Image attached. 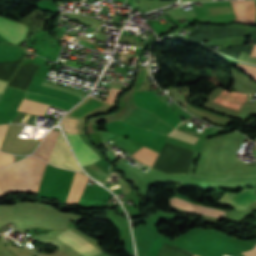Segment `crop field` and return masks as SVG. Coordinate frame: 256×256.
<instances>
[{"mask_svg": "<svg viewBox=\"0 0 256 256\" xmlns=\"http://www.w3.org/2000/svg\"><path fill=\"white\" fill-rule=\"evenodd\" d=\"M46 165L31 156L0 170V196L9 192H38Z\"/></svg>", "mask_w": 256, "mask_h": 256, "instance_id": "obj_1", "label": "crop field"}, {"mask_svg": "<svg viewBox=\"0 0 256 256\" xmlns=\"http://www.w3.org/2000/svg\"><path fill=\"white\" fill-rule=\"evenodd\" d=\"M193 152L166 143L153 168L164 173H187Z\"/></svg>", "mask_w": 256, "mask_h": 256, "instance_id": "obj_2", "label": "crop field"}, {"mask_svg": "<svg viewBox=\"0 0 256 256\" xmlns=\"http://www.w3.org/2000/svg\"><path fill=\"white\" fill-rule=\"evenodd\" d=\"M49 162L59 167L82 172L81 169L78 167L62 132H60L58 136L56 144L50 155Z\"/></svg>", "mask_w": 256, "mask_h": 256, "instance_id": "obj_3", "label": "crop field"}, {"mask_svg": "<svg viewBox=\"0 0 256 256\" xmlns=\"http://www.w3.org/2000/svg\"><path fill=\"white\" fill-rule=\"evenodd\" d=\"M84 256H93L100 251L70 228L56 236Z\"/></svg>", "mask_w": 256, "mask_h": 256, "instance_id": "obj_4", "label": "crop field"}, {"mask_svg": "<svg viewBox=\"0 0 256 256\" xmlns=\"http://www.w3.org/2000/svg\"><path fill=\"white\" fill-rule=\"evenodd\" d=\"M73 151L79 160L81 166L92 164L97 160L101 159L87 144H85L79 134L75 133H66Z\"/></svg>", "mask_w": 256, "mask_h": 256, "instance_id": "obj_5", "label": "crop field"}, {"mask_svg": "<svg viewBox=\"0 0 256 256\" xmlns=\"http://www.w3.org/2000/svg\"><path fill=\"white\" fill-rule=\"evenodd\" d=\"M236 19L234 22L254 25L256 15V5L252 0H235L231 1Z\"/></svg>", "mask_w": 256, "mask_h": 256, "instance_id": "obj_6", "label": "crop field"}, {"mask_svg": "<svg viewBox=\"0 0 256 256\" xmlns=\"http://www.w3.org/2000/svg\"><path fill=\"white\" fill-rule=\"evenodd\" d=\"M256 200V191L243 190L242 193L233 195L225 193L216 203L229 205L238 210H245Z\"/></svg>", "mask_w": 256, "mask_h": 256, "instance_id": "obj_7", "label": "crop field"}, {"mask_svg": "<svg viewBox=\"0 0 256 256\" xmlns=\"http://www.w3.org/2000/svg\"><path fill=\"white\" fill-rule=\"evenodd\" d=\"M28 28L24 25L0 18V35L17 44L23 40Z\"/></svg>", "mask_w": 256, "mask_h": 256, "instance_id": "obj_8", "label": "crop field"}, {"mask_svg": "<svg viewBox=\"0 0 256 256\" xmlns=\"http://www.w3.org/2000/svg\"><path fill=\"white\" fill-rule=\"evenodd\" d=\"M88 177L83 174L76 173L71 189L68 194V199L66 203L77 204L81 193L83 192Z\"/></svg>", "mask_w": 256, "mask_h": 256, "instance_id": "obj_9", "label": "crop field"}, {"mask_svg": "<svg viewBox=\"0 0 256 256\" xmlns=\"http://www.w3.org/2000/svg\"><path fill=\"white\" fill-rule=\"evenodd\" d=\"M247 95L245 94H236L223 91L214 102L224 104L230 108L238 110L240 106L245 102Z\"/></svg>", "mask_w": 256, "mask_h": 256, "instance_id": "obj_10", "label": "crop field"}, {"mask_svg": "<svg viewBox=\"0 0 256 256\" xmlns=\"http://www.w3.org/2000/svg\"><path fill=\"white\" fill-rule=\"evenodd\" d=\"M59 131L51 130L50 133L46 136L40 146L36 149L33 155L42 158L43 160L48 162L49 155L55 143Z\"/></svg>", "mask_w": 256, "mask_h": 256, "instance_id": "obj_11", "label": "crop field"}, {"mask_svg": "<svg viewBox=\"0 0 256 256\" xmlns=\"http://www.w3.org/2000/svg\"><path fill=\"white\" fill-rule=\"evenodd\" d=\"M25 98L37 100V101H41V102H44L49 105L57 106L66 111H68L74 105V104H71V103L63 101V100H59V99H56L53 97H49L46 95H42V94L30 92V91H26Z\"/></svg>", "mask_w": 256, "mask_h": 256, "instance_id": "obj_12", "label": "crop field"}, {"mask_svg": "<svg viewBox=\"0 0 256 256\" xmlns=\"http://www.w3.org/2000/svg\"><path fill=\"white\" fill-rule=\"evenodd\" d=\"M251 37H254L253 41L251 42V45H241V46H236V47H233V48L227 49V50H216V51L226 54V55L238 60L241 52H243L247 55H250L253 44H256V35L251 36Z\"/></svg>", "mask_w": 256, "mask_h": 256, "instance_id": "obj_13", "label": "crop field"}, {"mask_svg": "<svg viewBox=\"0 0 256 256\" xmlns=\"http://www.w3.org/2000/svg\"><path fill=\"white\" fill-rule=\"evenodd\" d=\"M132 156L137 158L139 161L152 166V164L157 156V153L143 147L140 150H138L136 153H134Z\"/></svg>", "mask_w": 256, "mask_h": 256, "instance_id": "obj_14", "label": "crop field"}, {"mask_svg": "<svg viewBox=\"0 0 256 256\" xmlns=\"http://www.w3.org/2000/svg\"><path fill=\"white\" fill-rule=\"evenodd\" d=\"M47 108L48 105L29 101L22 111L44 116Z\"/></svg>", "mask_w": 256, "mask_h": 256, "instance_id": "obj_15", "label": "crop field"}, {"mask_svg": "<svg viewBox=\"0 0 256 256\" xmlns=\"http://www.w3.org/2000/svg\"><path fill=\"white\" fill-rule=\"evenodd\" d=\"M77 123H78V121L68 119V118H64L63 121H62V125L64 127L65 132H76V133H78Z\"/></svg>", "mask_w": 256, "mask_h": 256, "instance_id": "obj_16", "label": "crop field"}, {"mask_svg": "<svg viewBox=\"0 0 256 256\" xmlns=\"http://www.w3.org/2000/svg\"><path fill=\"white\" fill-rule=\"evenodd\" d=\"M170 136H173L175 138L187 141V142L192 143V144H194V142L197 140V137H194V136H191V135H188V134L176 131V130H174L170 134Z\"/></svg>", "mask_w": 256, "mask_h": 256, "instance_id": "obj_17", "label": "crop field"}, {"mask_svg": "<svg viewBox=\"0 0 256 256\" xmlns=\"http://www.w3.org/2000/svg\"><path fill=\"white\" fill-rule=\"evenodd\" d=\"M122 92H123V90L111 88L107 98L105 99V102H108V103L115 106L117 95L122 93Z\"/></svg>", "mask_w": 256, "mask_h": 256, "instance_id": "obj_18", "label": "crop field"}, {"mask_svg": "<svg viewBox=\"0 0 256 256\" xmlns=\"http://www.w3.org/2000/svg\"><path fill=\"white\" fill-rule=\"evenodd\" d=\"M237 67H239L246 74L250 75L252 78H256V67L241 64H237Z\"/></svg>", "mask_w": 256, "mask_h": 256, "instance_id": "obj_19", "label": "crop field"}, {"mask_svg": "<svg viewBox=\"0 0 256 256\" xmlns=\"http://www.w3.org/2000/svg\"><path fill=\"white\" fill-rule=\"evenodd\" d=\"M13 162V156L0 153V168Z\"/></svg>", "mask_w": 256, "mask_h": 256, "instance_id": "obj_20", "label": "crop field"}, {"mask_svg": "<svg viewBox=\"0 0 256 256\" xmlns=\"http://www.w3.org/2000/svg\"><path fill=\"white\" fill-rule=\"evenodd\" d=\"M244 256H256V245L250 251L242 252Z\"/></svg>", "mask_w": 256, "mask_h": 256, "instance_id": "obj_21", "label": "crop field"}, {"mask_svg": "<svg viewBox=\"0 0 256 256\" xmlns=\"http://www.w3.org/2000/svg\"><path fill=\"white\" fill-rule=\"evenodd\" d=\"M7 82L0 80V94H2Z\"/></svg>", "mask_w": 256, "mask_h": 256, "instance_id": "obj_22", "label": "crop field"}, {"mask_svg": "<svg viewBox=\"0 0 256 256\" xmlns=\"http://www.w3.org/2000/svg\"><path fill=\"white\" fill-rule=\"evenodd\" d=\"M251 56H256V45H254Z\"/></svg>", "mask_w": 256, "mask_h": 256, "instance_id": "obj_23", "label": "crop field"}, {"mask_svg": "<svg viewBox=\"0 0 256 256\" xmlns=\"http://www.w3.org/2000/svg\"><path fill=\"white\" fill-rule=\"evenodd\" d=\"M3 127H4V125H0V134L2 132Z\"/></svg>", "mask_w": 256, "mask_h": 256, "instance_id": "obj_24", "label": "crop field"}]
</instances>
